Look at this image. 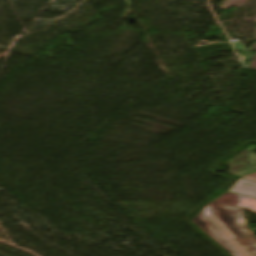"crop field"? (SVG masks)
<instances>
[{
    "label": "crop field",
    "instance_id": "1",
    "mask_svg": "<svg viewBox=\"0 0 256 256\" xmlns=\"http://www.w3.org/2000/svg\"><path fill=\"white\" fill-rule=\"evenodd\" d=\"M192 222L232 256H256V236L241 209L211 202Z\"/></svg>",
    "mask_w": 256,
    "mask_h": 256
},
{
    "label": "crop field",
    "instance_id": "2",
    "mask_svg": "<svg viewBox=\"0 0 256 256\" xmlns=\"http://www.w3.org/2000/svg\"><path fill=\"white\" fill-rule=\"evenodd\" d=\"M256 146L247 147L230 161H228V174L238 177L256 172V153L251 150Z\"/></svg>",
    "mask_w": 256,
    "mask_h": 256
},
{
    "label": "crop field",
    "instance_id": "3",
    "mask_svg": "<svg viewBox=\"0 0 256 256\" xmlns=\"http://www.w3.org/2000/svg\"><path fill=\"white\" fill-rule=\"evenodd\" d=\"M229 191L256 198V183L239 178Z\"/></svg>",
    "mask_w": 256,
    "mask_h": 256
},
{
    "label": "crop field",
    "instance_id": "4",
    "mask_svg": "<svg viewBox=\"0 0 256 256\" xmlns=\"http://www.w3.org/2000/svg\"><path fill=\"white\" fill-rule=\"evenodd\" d=\"M249 199L251 198L227 192L226 194L217 198L215 202L239 208Z\"/></svg>",
    "mask_w": 256,
    "mask_h": 256
},
{
    "label": "crop field",
    "instance_id": "5",
    "mask_svg": "<svg viewBox=\"0 0 256 256\" xmlns=\"http://www.w3.org/2000/svg\"><path fill=\"white\" fill-rule=\"evenodd\" d=\"M240 208L256 212V199L252 198Z\"/></svg>",
    "mask_w": 256,
    "mask_h": 256
},
{
    "label": "crop field",
    "instance_id": "6",
    "mask_svg": "<svg viewBox=\"0 0 256 256\" xmlns=\"http://www.w3.org/2000/svg\"><path fill=\"white\" fill-rule=\"evenodd\" d=\"M242 178L256 182V174L250 175V176H246V177H242Z\"/></svg>",
    "mask_w": 256,
    "mask_h": 256
}]
</instances>
